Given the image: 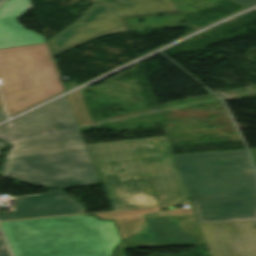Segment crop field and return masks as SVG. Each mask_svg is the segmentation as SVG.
Wrapping results in <instances>:
<instances>
[{"instance_id": "14", "label": "crop field", "mask_w": 256, "mask_h": 256, "mask_svg": "<svg viewBox=\"0 0 256 256\" xmlns=\"http://www.w3.org/2000/svg\"><path fill=\"white\" fill-rule=\"evenodd\" d=\"M67 97L70 102L78 126L81 127L93 124L89 117L88 111L86 109L80 91L68 95Z\"/></svg>"}, {"instance_id": "23", "label": "crop field", "mask_w": 256, "mask_h": 256, "mask_svg": "<svg viewBox=\"0 0 256 256\" xmlns=\"http://www.w3.org/2000/svg\"><path fill=\"white\" fill-rule=\"evenodd\" d=\"M0 145H4L2 142H0Z\"/></svg>"}, {"instance_id": "6", "label": "crop field", "mask_w": 256, "mask_h": 256, "mask_svg": "<svg viewBox=\"0 0 256 256\" xmlns=\"http://www.w3.org/2000/svg\"><path fill=\"white\" fill-rule=\"evenodd\" d=\"M178 168L190 199L256 196L250 163Z\"/></svg>"}, {"instance_id": "13", "label": "crop field", "mask_w": 256, "mask_h": 256, "mask_svg": "<svg viewBox=\"0 0 256 256\" xmlns=\"http://www.w3.org/2000/svg\"><path fill=\"white\" fill-rule=\"evenodd\" d=\"M174 156L178 166L250 162L246 150Z\"/></svg>"}, {"instance_id": "9", "label": "crop field", "mask_w": 256, "mask_h": 256, "mask_svg": "<svg viewBox=\"0 0 256 256\" xmlns=\"http://www.w3.org/2000/svg\"><path fill=\"white\" fill-rule=\"evenodd\" d=\"M14 199L18 206L11 209V215L0 216V220L84 213L85 210L62 189L48 190V194L15 196Z\"/></svg>"}, {"instance_id": "2", "label": "crop field", "mask_w": 256, "mask_h": 256, "mask_svg": "<svg viewBox=\"0 0 256 256\" xmlns=\"http://www.w3.org/2000/svg\"><path fill=\"white\" fill-rule=\"evenodd\" d=\"M87 147L111 210L190 204L167 136Z\"/></svg>"}, {"instance_id": "7", "label": "crop field", "mask_w": 256, "mask_h": 256, "mask_svg": "<svg viewBox=\"0 0 256 256\" xmlns=\"http://www.w3.org/2000/svg\"><path fill=\"white\" fill-rule=\"evenodd\" d=\"M146 220L151 234L125 239L115 256H125V248L205 244L195 216Z\"/></svg>"}, {"instance_id": "18", "label": "crop field", "mask_w": 256, "mask_h": 256, "mask_svg": "<svg viewBox=\"0 0 256 256\" xmlns=\"http://www.w3.org/2000/svg\"><path fill=\"white\" fill-rule=\"evenodd\" d=\"M6 116H5V112H4V110H1L0 111V120L1 119H3V118H5ZM6 119V118H5ZM4 120V119H3Z\"/></svg>"}, {"instance_id": "19", "label": "crop field", "mask_w": 256, "mask_h": 256, "mask_svg": "<svg viewBox=\"0 0 256 256\" xmlns=\"http://www.w3.org/2000/svg\"><path fill=\"white\" fill-rule=\"evenodd\" d=\"M1 246H6L2 237H0V247Z\"/></svg>"}, {"instance_id": "8", "label": "crop field", "mask_w": 256, "mask_h": 256, "mask_svg": "<svg viewBox=\"0 0 256 256\" xmlns=\"http://www.w3.org/2000/svg\"><path fill=\"white\" fill-rule=\"evenodd\" d=\"M198 224L210 256H256L255 221Z\"/></svg>"}, {"instance_id": "4", "label": "crop field", "mask_w": 256, "mask_h": 256, "mask_svg": "<svg viewBox=\"0 0 256 256\" xmlns=\"http://www.w3.org/2000/svg\"><path fill=\"white\" fill-rule=\"evenodd\" d=\"M0 87L10 116L63 92L47 43L0 49Z\"/></svg>"}, {"instance_id": "5", "label": "crop field", "mask_w": 256, "mask_h": 256, "mask_svg": "<svg viewBox=\"0 0 256 256\" xmlns=\"http://www.w3.org/2000/svg\"><path fill=\"white\" fill-rule=\"evenodd\" d=\"M79 19L49 39L56 57L102 36L130 32L126 18L181 13L171 0H93Z\"/></svg>"}, {"instance_id": "10", "label": "crop field", "mask_w": 256, "mask_h": 256, "mask_svg": "<svg viewBox=\"0 0 256 256\" xmlns=\"http://www.w3.org/2000/svg\"><path fill=\"white\" fill-rule=\"evenodd\" d=\"M191 201L198 222L256 220V197Z\"/></svg>"}, {"instance_id": "16", "label": "crop field", "mask_w": 256, "mask_h": 256, "mask_svg": "<svg viewBox=\"0 0 256 256\" xmlns=\"http://www.w3.org/2000/svg\"><path fill=\"white\" fill-rule=\"evenodd\" d=\"M233 1H236V2L243 4L247 7H250V6L256 4V0H233Z\"/></svg>"}, {"instance_id": "15", "label": "crop field", "mask_w": 256, "mask_h": 256, "mask_svg": "<svg viewBox=\"0 0 256 256\" xmlns=\"http://www.w3.org/2000/svg\"><path fill=\"white\" fill-rule=\"evenodd\" d=\"M155 110H158V108H153V109L138 111V112H134V113L126 114V115L114 116V117L102 119V120H99V121H94L93 123H94V124H96V123H101V122H105V121H110V120H114V119H118V118H122V117H126V116H131V115L142 114V113H146V112H150V111H155Z\"/></svg>"}, {"instance_id": "3", "label": "crop field", "mask_w": 256, "mask_h": 256, "mask_svg": "<svg viewBox=\"0 0 256 256\" xmlns=\"http://www.w3.org/2000/svg\"><path fill=\"white\" fill-rule=\"evenodd\" d=\"M0 224L15 256H111L120 242L112 221L87 215Z\"/></svg>"}, {"instance_id": "17", "label": "crop field", "mask_w": 256, "mask_h": 256, "mask_svg": "<svg viewBox=\"0 0 256 256\" xmlns=\"http://www.w3.org/2000/svg\"><path fill=\"white\" fill-rule=\"evenodd\" d=\"M0 256H10L7 247L0 248Z\"/></svg>"}, {"instance_id": "20", "label": "crop field", "mask_w": 256, "mask_h": 256, "mask_svg": "<svg viewBox=\"0 0 256 256\" xmlns=\"http://www.w3.org/2000/svg\"><path fill=\"white\" fill-rule=\"evenodd\" d=\"M7 0H0V7L6 2Z\"/></svg>"}, {"instance_id": "21", "label": "crop field", "mask_w": 256, "mask_h": 256, "mask_svg": "<svg viewBox=\"0 0 256 256\" xmlns=\"http://www.w3.org/2000/svg\"><path fill=\"white\" fill-rule=\"evenodd\" d=\"M5 148V146H0V154L2 152V150Z\"/></svg>"}, {"instance_id": "11", "label": "crop field", "mask_w": 256, "mask_h": 256, "mask_svg": "<svg viewBox=\"0 0 256 256\" xmlns=\"http://www.w3.org/2000/svg\"><path fill=\"white\" fill-rule=\"evenodd\" d=\"M30 8V0H8L0 8V48L45 42L42 35L25 29L17 21Z\"/></svg>"}, {"instance_id": "24", "label": "crop field", "mask_w": 256, "mask_h": 256, "mask_svg": "<svg viewBox=\"0 0 256 256\" xmlns=\"http://www.w3.org/2000/svg\"><path fill=\"white\" fill-rule=\"evenodd\" d=\"M255 165V169H256V164H254Z\"/></svg>"}, {"instance_id": "1", "label": "crop field", "mask_w": 256, "mask_h": 256, "mask_svg": "<svg viewBox=\"0 0 256 256\" xmlns=\"http://www.w3.org/2000/svg\"><path fill=\"white\" fill-rule=\"evenodd\" d=\"M0 138L13 146L3 175L64 189L100 183L66 96L1 127Z\"/></svg>"}, {"instance_id": "12", "label": "crop field", "mask_w": 256, "mask_h": 256, "mask_svg": "<svg viewBox=\"0 0 256 256\" xmlns=\"http://www.w3.org/2000/svg\"><path fill=\"white\" fill-rule=\"evenodd\" d=\"M193 214L191 208L174 209L166 212L158 208L98 213L104 219H116L122 237L133 233L147 232L145 217ZM134 235V234H133Z\"/></svg>"}, {"instance_id": "22", "label": "crop field", "mask_w": 256, "mask_h": 256, "mask_svg": "<svg viewBox=\"0 0 256 256\" xmlns=\"http://www.w3.org/2000/svg\"><path fill=\"white\" fill-rule=\"evenodd\" d=\"M0 108H3V107H2V104H1V101H0Z\"/></svg>"}]
</instances>
